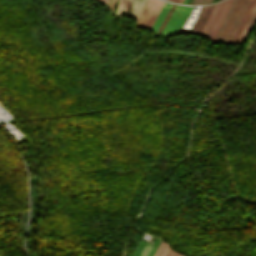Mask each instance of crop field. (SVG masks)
Here are the masks:
<instances>
[{"mask_svg": "<svg viewBox=\"0 0 256 256\" xmlns=\"http://www.w3.org/2000/svg\"><path fill=\"white\" fill-rule=\"evenodd\" d=\"M231 1H232V0H226V1L224 2L223 6H222V8H221V10H220V12H219L217 18H216V21H215V23H214V25H213V27H212V29H211V31H210L208 37H207V39L209 40V42H211V43L213 42V40H214V38H215V36H216V34H217V31H218V29H219V27H220V25H221V22H222V20H223L225 14H226V11H227V9H228V7H229Z\"/></svg>", "mask_w": 256, "mask_h": 256, "instance_id": "obj_6", "label": "crop field"}, {"mask_svg": "<svg viewBox=\"0 0 256 256\" xmlns=\"http://www.w3.org/2000/svg\"><path fill=\"white\" fill-rule=\"evenodd\" d=\"M148 0H139L135 10H134V13L132 15V19H138L142 9L144 8L145 4L147 3Z\"/></svg>", "mask_w": 256, "mask_h": 256, "instance_id": "obj_11", "label": "crop field"}, {"mask_svg": "<svg viewBox=\"0 0 256 256\" xmlns=\"http://www.w3.org/2000/svg\"><path fill=\"white\" fill-rule=\"evenodd\" d=\"M255 20H256V7H255L253 13L251 14V16H250L243 32H242L237 44L243 43L244 39L246 38L247 34L249 33L250 29L252 28Z\"/></svg>", "mask_w": 256, "mask_h": 256, "instance_id": "obj_10", "label": "crop field"}, {"mask_svg": "<svg viewBox=\"0 0 256 256\" xmlns=\"http://www.w3.org/2000/svg\"><path fill=\"white\" fill-rule=\"evenodd\" d=\"M171 6V3H167L165 2L163 8L161 9L156 21L154 22V24L152 25L150 31H152L154 34L156 32V30L158 29L159 25L161 24V22L163 21L164 17L166 16L169 8Z\"/></svg>", "mask_w": 256, "mask_h": 256, "instance_id": "obj_9", "label": "crop field"}, {"mask_svg": "<svg viewBox=\"0 0 256 256\" xmlns=\"http://www.w3.org/2000/svg\"><path fill=\"white\" fill-rule=\"evenodd\" d=\"M164 2L160 0H152L141 24L139 27L150 29L152 23L154 22L157 14L159 13L160 9L162 8Z\"/></svg>", "mask_w": 256, "mask_h": 256, "instance_id": "obj_3", "label": "crop field"}, {"mask_svg": "<svg viewBox=\"0 0 256 256\" xmlns=\"http://www.w3.org/2000/svg\"><path fill=\"white\" fill-rule=\"evenodd\" d=\"M189 3V0L187 1V4Z\"/></svg>", "mask_w": 256, "mask_h": 256, "instance_id": "obj_24", "label": "crop field"}, {"mask_svg": "<svg viewBox=\"0 0 256 256\" xmlns=\"http://www.w3.org/2000/svg\"><path fill=\"white\" fill-rule=\"evenodd\" d=\"M211 2L212 0H193L191 4H207Z\"/></svg>", "mask_w": 256, "mask_h": 256, "instance_id": "obj_17", "label": "crop field"}, {"mask_svg": "<svg viewBox=\"0 0 256 256\" xmlns=\"http://www.w3.org/2000/svg\"><path fill=\"white\" fill-rule=\"evenodd\" d=\"M174 7H175V4L172 5L170 11L168 12V14H167V16L165 17L164 21L162 22V24L160 25L159 29L157 30L156 35H160V33H161L163 27L165 26V24H166V22H167V20H168V18H169V16H170V14H171V12L173 11Z\"/></svg>", "mask_w": 256, "mask_h": 256, "instance_id": "obj_16", "label": "crop field"}, {"mask_svg": "<svg viewBox=\"0 0 256 256\" xmlns=\"http://www.w3.org/2000/svg\"><path fill=\"white\" fill-rule=\"evenodd\" d=\"M248 3V0H237V3L221 33V36L218 41H221L223 43H229L236 26L243 14V11Z\"/></svg>", "mask_w": 256, "mask_h": 256, "instance_id": "obj_1", "label": "crop field"}, {"mask_svg": "<svg viewBox=\"0 0 256 256\" xmlns=\"http://www.w3.org/2000/svg\"><path fill=\"white\" fill-rule=\"evenodd\" d=\"M179 2H180V3H182V2H183V0H179Z\"/></svg>", "mask_w": 256, "mask_h": 256, "instance_id": "obj_21", "label": "crop field"}, {"mask_svg": "<svg viewBox=\"0 0 256 256\" xmlns=\"http://www.w3.org/2000/svg\"><path fill=\"white\" fill-rule=\"evenodd\" d=\"M162 239L160 237H157L154 245H150L146 242H140L134 256H153L154 252L156 251L160 241Z\"/></svg>", "mask_w": 256, "mask_h": 256, "instance_id": "obj_7", "label": "crop field"}, {"mask_svg": "<svg viewBox=\"0 0 256 256\" xmlns=\"http://www.w3.org/2000/svg\"><path fill=\"white\" fill-rule=\"evenodd\" d=\"M137 2H138V0H130L129 1L127 8H126V12H125L127 16H129V17L131 16V13H132L134 7L136 6Z\"/></svg>", "mask_w": 256, "mask_h": 256, "instance_id": "obj_14", "label": "crop field"}, {"mask_svg": "<svg viewBox=\"0 0 256 256\" xmlns=\"http://www.w3.org/2000/svg\"><path fill=\"white\" fill-rule=\"evenodd\" d=\"M256 23V22H255Z\"/></svg>", "mask_w": 256, "mask_h": 256, "instance_id": "obj_26", "label": "crop field"}, {"mask_svg": "<svg viewBox=\"0 0 256 256\" xmlns=\"http://www.w3.org/2000/svg\"><path fill=\"white\" fill-rule=\"evenodd\" d=\"M186 1H187V0H184V2H183V3H186Z\"/></svg>", "mask_w": 256, "mask_h": 256, "instance_id": "obj_23", "label": "crop field"}, {"mask_svg": "<svg viewBox=\"0 0 256 256\" xmlns=\"http://www.w3.org/2000/svg\"><path fill=\"white\" fill-rule=\"evenodd\" d=\"M127 3H128V0H120V1H119L118 9H117V14H116V16H115V19H117L118 15H119V12H120V10H121L122 7H123V9H122L120 18L123 16L124 10H125V8H126Z\"/></svg>", "mask_w": 256, "mask_h": 256, "instance_id": "obj_13", "label": "crop field"}, {"mask_svg": "<svg viewBox=\"0 0 256 256\" xmlns=\"http://www.w3.org/2000/svg\"><path fill=\"white\" fill-rule=\"evenodd\" d=\"M223 2L218 3V4L215 5L211 15L209 16L206 24L204 25V27H203V29H202V31L200 33L201 36L207 37V35H208V33H209V31H210V29H211V27H212V25H213V23L215 21V18L217 16V14H218V12H219Z\"/></svg>", "mask_w": 256, "mask_h": 256, "instance_id": "obj_8", "label": "crop field"}, {"mask_svg": "<svg viewBox=\"0 0 256 256\" xmlns=\"http://www.w3.org/2000/svg\"><path fill=\"white\" fill-rule=\"evenodd\" d=\"M100 1H102V2H104V3L106 2V0H100Z\"/></svg>", "mask_w": 256, "mask_h": 256, "instance_id": "obj_19", "label": "crop field"}, {"mask_svg": "<svg viewBox=\"0 0 256 256\" xmlns=\"http://www.w3.org/2000/svg\"><path fill=\"white\" fill-rule=\"evenodd\" d=\"M165 256H183V255L178 254V253L174 252L173 250H171L170 248H168Z\"/></svg>", "mask_w": 256, "mask_h": 256, "instance_id": "obj_18", "label": "crop field"}, {"mask_svg": "<svg viewBox=\"0 0 256 256\" xmlns=\"http://www.w3.org/2000/svg\"><path fill=\"white\" fill-rule=\"evenodd\" d=\"M255 4H256V0H250L249 1L248 5H247V7L244 11V14H243V16H242V18H241V20H240V22L237 26V29H236V31H235V33H234V35H233L229 44H236V42H237V40H238V38H239L243 28H244L249 16H250Z\"/></svg>", "mask_w": 256, "mask_h": 256, "instance_id": "obj_4", "label": "crop field"}, {"mask_svg": "<svg viewBox=\"0 0 256 256\" xmlns=\"http://www.w3.org/2000/svg\"><path fill=\"white\" fill-rule=\"evenodd\" d=\"M171 1L178 2V0H171Z\"/></svg>", "mask_w": 256, "mask_h": 256, "instance_id": "obj_20", "label": "crop field"}, {"mask_svg": "<svg viewBox=\"0 0 256 256\" xmlns=\"http://www.w3.org/2000/svg\"><path fill=\"white\" fill-rule=\"evenodd\" d=\"M192 7L176 5L162 33L174 35L182 26Z\"/></svg>", "mask_w": 256, "mask_h": 256, "instance_id": "obj_2", "label": "crop field"}, {"mask_svg": "<svg viewBox=\"0 0 256 256\" xmlns=\"http://www.w3.org/2000/svg\"><path fill=\"white\" fill-rule=\"evenodd\" d=\"M214 5L213 6H202L201 8V13L199 14L192 30L190 31V33H193V34H196V35H199L203 25L205 24L208 16L210 15L212 9H213Z\"/></svg>", "mask_w": 256, "mask_h": 256, "instance_id": "obj_5", "label": "crop field"}, {"mask_svg": "<svg viewBox=\"0 0 256 256\" xmlns=\"http://www.w3.org/2000/svg\"><path fill=\"white\" fill-rule=\"evenodd\" d=\"M217 0H213V2L212 3H214V2H216Z\"/></svg>", "mask_w": 256, "mask_h": 256, "instance_id": "obj_22", "label": "crop field"}, {"mask_svg": "<svg viewBox=\"0 0 256 256\" xmlns=\"http://www.w3.org/2000/svg\"><path fill=\"white\" fill-rule=\"evenodd\" d=\"M235 2H236V0H233L231 6H230V8H229V10H228V12H227V14H226V16H225V19H224V21H223V23H222V25H221V27H220V30H219V32H218V34H217V36H216V38H215V40H214L215 43L217 42V39H218V37H219V35H220L222 29H223V26H224V24H225V22H226V20H227V18H228V16H229V14H230V12H231V10H232V8H233Z\"/></svg>", "mask_w": 256, "mask_h": 256, "instance_id": "obj_15", "label": "crop field"}, {"mask_svg": "<svg viewBox=\"0 0 256 256\" xmlns=\"http://www.w3.org/2000/svg\"><path fill=\"white\" fill-rule=\"evenodd\" d=\"M191 2V1H190ZM190 4V3H189Z\"/></svg>", "mask_w": 256, "mask_h": 256, "instance_id": "obj_25", "label": "crop field"}, {"mask_svg": "<svg viewBox=\"0 0 256 256\" xmlns=\"http://www.w3.org/2000/svg\"><path fill=\"white\" fill-rule=\"evenodd\" d=\"M169 244L161 242L154 256H163Z\"/></svg>", "mask_w": 256, "mask_h": 256, "instance_id": "obj_12", "label": "crop field"}]
</instances>
